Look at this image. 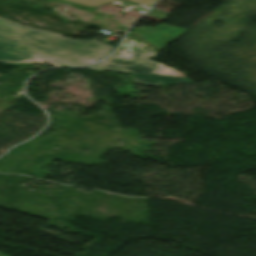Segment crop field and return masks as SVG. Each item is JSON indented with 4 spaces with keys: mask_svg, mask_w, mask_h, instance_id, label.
Returning <instances> with one entry per match:
<instances>
[{
    "mask_svg": "<svg viewBox=\"0 0 256 256\" xmlns=\"http://www.w3.org/2000/svg\"><path fill=\"white\" fill-rule=\"evenodd\" d=\"M113 49L100 42L70 40L60 34L25 27L0 18V61L56 60L70 66H83ZM38 55L51 59H34Z\"/></svg>",
    "mask_w": 256,
    "mask_h": 256,
    "instance_id": "obj_1",
    "label": "crop field"
},
{
    "mask_svg": "<svg viewBox=\"0 0 256 256\" xmlns=\"http://www.w3.org/2000/svg\"><path fill=\"white\" fill-rule=\"evenodd\" d=\"M133 55L129 59L112 56L96 65L88 67L107 71L132 73L134 83L161 86L192 82L188 78L165 69L159 63L146 57V51L130 43Z\"/></svg>",
    "mask_w": 256,
    "mask_h": 256,
    "instance_id": "obj_2",
    "label": "crop field"
},
{
    "mask_svg": "<svg viewBox=\"0 0 256 256\" xmlns=\"http://www.w3.org/2000/svg\"><path fill=\"white\" fill-rule=\"evenodd\" d=\"M67 1L75 2V3H79V4L91 6V7H97L98 5L104 4L107 2H119V5L127 7L121 13H124L131 7L142 12V13H144L147 9V7H145V6L138 5V4H132L125 0H67Z\"/></svg>",
    "mask_w": 256,
    "mask_h": 256,
    "instance_id": "obj_3",
    "label": "crop field"
},
{
    "mask_svg": "<svg viewBox=\"0 0 256 256\" xmlns=\"http://www.w3.org/2000/svg\"><path fill=\"white\" fill-rule=\"evenodd\" d=\"M137 33H135V34H137ZM137 35L140 36L141 38L145 39L149 43L153 44L154 46L158 47L159 49H162V48L166 47L169 44V43H166V42H163V41H159L160 39L156 40L157 38L153 39L154 37L150 38V37H147V36H144V35H141V34H137Z\"/></svg>",
    "mask_w": 256,
    "mask_h": 256,
    "instance_id": "obj_4",
    "label": "crop field"
},
{
    "mask_svg": "<svg viewBox=\"0 0 256 256\" xmlns=\"http://www.w3.org/2000/svg\"><path fill=\"white\" fill-rule=\"evenodd\" d=\"M149 15L153 16V17H156L160 20H162L163 18H165L168 14L162 12V11H159L155 8H153L150 12H149Z\"/></svg>",
    "mask_w": 256,
    "mask_h": 256,
    "instance_id": "obj_5",
    "label": "crop field"
},
{
    "mask_svg": "<svg viewBox=\"0 0 256 256\" xmlns=\"http://www.w3.org/2000/svg\"><path fill=\"white\" fill-rule=\"evenodd\" d=\"M134 3H140L147 7H149L151 4H153L156 0H130Z\"/></svg>",
    "mask_w": 256,
    "mask_h": 256,
    "instance_id": "obj_6",
    "label": "crop field"
}]
</instances>
